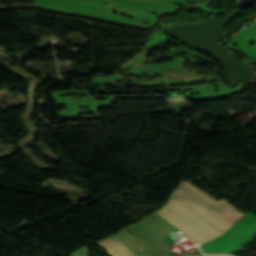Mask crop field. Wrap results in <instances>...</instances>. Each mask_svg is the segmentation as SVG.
I'll return each instance as SVG.
<instances>
[{"label":"crop field","mask_w":256,"mask_h":256,"mask_svg":"<svg viewBox=\"0 0 256 256\" xmlns=\"http://www.w3.org/2000/svg\"><path fill=\"white\" fill-rule=\"evenodd\" d=\"M172 196L223 233L244 215L224 199L216 201L184 180ZM172 196L155 213L194 243L199 245L223 234Z\"/></svg>","instance_id":"crop-field-1"},{"label":"crop field","mask_w":256,"mask_h":256,"mask_svg":"<svg viewBox=\"0 0 256 256\" xmlns=\"http://www.w3.org/2000/svg\"><path fill=\"white\" fill-rule=\"evenodd\" d=\"M256 235V216L250 211L224 236L200 246L204 253L232 254Z\"/></svg>","instance_id":"crop-field-2"},{"label":"crop field","mask_w":256,"mask_h":256,"mask_svg":"<svg viewBox=\"0 0 256 256\" xmlns=\"http://www.w3.org/2000/svg\"><path fill=\"white\" fill-rule=\"evenodd\" d=\"M98 242L111 256H136L116 237L115 234L98 240Z\"/></svg>","instance_id":"crop-field-3"}]
</instances>
